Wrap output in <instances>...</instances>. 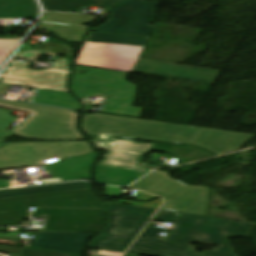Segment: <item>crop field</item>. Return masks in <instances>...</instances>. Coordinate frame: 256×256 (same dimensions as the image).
<instances>
[{
    "mask_svg": "<svg viewBox=\"0 0 256 256\" xmlns=\"http://www.w3.org/2000/svg\"><path fill=\"white\" fill-rule=\"evenodd\" d=\"M37 13L34 0H0V19H36Z\"/></svg>",
    "mask_w": 256,
    "mask_h": 256,
    "instance_id": "5a996713",
    "label": "crop field"
},
{
    "mask_svg": "<svg viewBox=\"0 0 256 256\" xmlns=\"http://www.w3.org/2000/svg\"><path fill=\"white\" fill-rule=\"evenodd\" d=\"M0 38H1V36H0Z\"/></svg>",
    "mask_w": 256,
    "mask_h": 256,
    "instance_id": "4a817a6b",
    "label": "crop field"
},
{
    "mask_svg": "<svg viewBox=\"0 0 256 256\" xmlns=\"http://www.w3.org/2000/svg\"><path fill=\"white\" fill-rule=\"evenodd\" d=\"M154 221L177 222L166 242L156 241L162 229L146 227L127 251L146 256H235L225 237L248 236L254 224L159 210ZM225 225H229L227 229ZM190 242L221 246L195 254Z\"/></svg>",
    "mask_w": 256,
    "mask_h": 256,
    "instance_id": "8a807250",
    "label": "crop field"
},
{
    "mask_svg": "<svg viewBox=\"0 0 256 256\" xmlns=\"http://www.w3.org/2000/svg\"><path fill=\"white\" fill-rule=\"evenodd\" d=\"M28 207H35L32 218L48 216L38 231L97 232L103 225L104 206L89 189L0 199V225L18 226Z\"/></svg>",
    "mask_w": 256,
    "mask_h": 256,
    "instance_id": "ac0d7876",
    "label": "crop field"
},
{
    "mask_svg": "<svg viewBox=\"0 0 256 256\" xmlns=\"http://www.w3.org/2000/svg\"><path fill=\"white\" fill-rule=\"evenodd\" d=\"M148 38L91 33L88 41L144 46Z\"/></svg>",
    "mask_w": 256,
    "mask_h": 256,
    "instance_id": "22f410ed",
    "label": "crop field"
},
{
    "mask_svg": "<svg viewBox=\"0 0 256 256\" xmlns=\"http://www.w3.org/2000/svg\"><path fill=\"white\" fill-rule=\"evenodd\" d=\"M159 3L128 0L110 12V20L95 32L149 36L155 27L154 13Z\"/></svg>",
    "mask_w": 256,
    "mask_h": 256,
    "instance_id": "f4fd0767",
    "label": "crop field"
},
{
    "mask_svg": "<svg viewBox=\"0 0 256 256\" xmlns=\"http://www.w3.org/2000/svg\"><path fill=\"white\" fill-rule=\"evenodd\" d=\"M89 187H90V185L85 182H76V183H68V184H58V185H49V186H40V187L2 190V191H0V198H9V197L26 196V195H34V194H42V193L68 191V190L84 189V188H89Z\"/></svg>",
    "mask_w": 256,
    "mask_h": 256,
    "instance_id": "28ad6ade",
    "label": "crop field"
},
{
    "mask_svg": "<svg viewBox=\"0 0 256 256\" xmlns=\"http://www.w3.org/2000/svg\"><path fill=\"white\" fill-rule=\"evenodd\" d=\"M17 44L18 40H0V67Z\"/></svg>",
    "mask_w": 256,
    "mask_h": 256,
    "instance_id": "5142ce71",
    "label": "crop field"
},
{
    "mask_svg": "<svg viewBox=\"0 0 256 256\" xmlns=\"http://www.w3.org/2000/svg\"><path fill=\"white\" fill-rule=\"evenodd\" d=\"M0 231H5V228H0Z\"/></svg>",
    "mask_w": 256,
    "mask_h": 256,
    "instance_id": "733c2abd",
    "label": "crop field"
},
{
    "mask_svg": "<svg viewBox=\"0 0 256 256\" xmlns=\"http://www.w3.org/2000/svg\"><path fill=\"white\" fill-rule=\"evenodd\" d=\"M139 64H142L141 66ZM132 72L213 84L220 72L138 59ZM172 75V77H170Z\"/></svg>",
    "mask_w": 256,
    "mask_h": 256,
    "instance_id": "e52e79f7",
    "label": "crop field"
},
{
    "mask_svg": "<svg viewBox=\"0 0 256 256\" xmlns=\"http://www.w3.org/2000/svg\"><path fill=\"white\" fill-rule=\"evenodd\" d=\"M34 89H36L38 94H40V97H42L41 99L34 98L33 102L35 103L49 104L76 109H80L81 107V104L69 93L39 88ZM68 96H71V98H69Z\"/></svg>",
    "mask_w": 256,
    "mask_h": 256,
    "instance_id": "d1516ede",
    "label": "crop field"
},
{
    "mask_svg": "<svg viewBox=\"0 0 256 256\" xmlns=\"http://www.w3.org/2000/svg\"><path fill=\"white\" fill-rule=\"evenodd\" d=\"M127 74L74 66L71 91L79 98L93 92L102 93L107 96L108 101L101 112L138 118L142 109L131 107L136 86L125 81Z\"/></svg>",
    "mask_w": 256,
    "mask_h": 256,
    "instance_id": "34b2d1b8",
    "label": "crop field"
},
{
    "mask_svg": "<svg viewBox=\"0 0 256 256\" xmlns=\"http://www.w3.org/2000/svg\"><path fill=\"white\" fill-rule=\"evenodd\" d=\"M21 256H73V255L26 247L22 250Z\"/></svg>",
    "mask_w": 256,
    "mask_h": 256,
    "instance_id": "d9b57169",
    "label": "crop field"
},
{
    "mask_svg": "<svg viewBox=\"0 0 256 256\" xmlns=\"http://www.w3.org/2000/svg\"><path fill=\"white\" fill-rule=\"evenodd\" d=\"M123 0H41L45 10L78 13L79 8L87 5L113 7Z\"/></svg>",
    "mask_w": 256,
    "mask_h": 256,
    "instance_id": "3316defc",
    "label": "crop field"
},
{
    "mask_svg": "<svg viewBox=\"0 0 256 256\" xmlns=\"http://www.w3.org/2000/svg\"><path fill=\"white\" fill-rule=\"evenodd\" d=\"M142 48L85 42L76 64L130 72Z\"/></svg>",
    "mask_w": 256,
    "mask_h": 256,
    "instance_id": "dd49c442",
    "label": "crop field"
},
{
    "mask_svg": "<svg viewBox=\"0 0 256 256\" xmlns=\"http://www.w3.org/2000/svg\"><path fill=\"white\" fill-rule=\"evenodd\" d=\"M35 49L37 50H43L46 52H50V53H54V54H59V55H63V56H70L72 57L71 53H72V48L69 46H65V45H60V44H56V43H41L35 46Z\"/></svg>",
    "mask_w": 256,
    "mask_h": 256,
    "instance_id": "cbeb9de0",
    "label": "crop field"
},
{
    "mask_svg": "<svg viewBox=\"0 0 256 256\" xmlns=\"http://www.w3.org/2000/svg\"><path fill=\"white\" fill-rule=\"evenodd\" d=\"M109 206L108 227L89 247L124 252L156 210L112 204Z\"/></svg>",
    "mask_w": 256,
    "mask_h": 256,
    "instance_id": "412701ff",
    "label": "crop field"
},
{
    "mask_svg": "<svg viewBox=\"0 0 256 256\" xmlns=\"http://www.w3.org/2000/svg\"><path fill=\"white\" fill-rule=\"evenodd\" d=\"M94 234L38 233L32 247L58 252L82 254V250L90 236Z\"/></svg>",
    "mask_w": 256,
    "mask_h": 256,
    "instance_id": "d8731c3e",
    "label": "crop field"
}]
</instances>
